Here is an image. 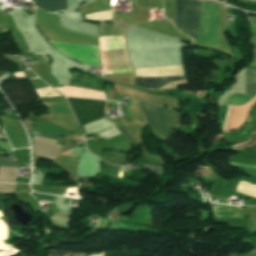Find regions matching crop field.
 <instances>
[{
  "label": "crop field",
  "instance_id": "8a807250",
  "mask_svg": "<svg viewBox=\"0 0 256 256\" xmlns=\"http://www.w3.org/2000/svg\"><path fill=\"white\" fill-rule=\"evenodd\" d=\"M201 1L176 0V28L197 40ZM218 4L202 1L198 40L219 46Z\"/></svg>",
  "mask_w": 256,
  "mask_h": 256
},
{
  "label": "crop field",
  "instance_id": "ac0d7876",
  "mask_svg": "<svg viewBox=\"0 0 256 256\" xmlns=\"http://www.w3.org/2000/svg\"><path fill=\"white\" fill-rule=\"evenodd\" d=\"M184 75L183 67L136 70L135 77ZM185 79L184 76L135 78L134 85L154 90L167 81Z\"/></svg>",
  "mask_w": 256,
  "mask_h": 256
},
{
  "label": "crop field",
  "instance_id": "34b2d1b8",
  "mask_svg": "<svg viewBox=\"0 0 256 256\" xmlns=\"http://www.w3.org/2000/svg\"><path fill=\"white\" fill-rule=\"evenodd\" d=\"M138 103L144 112L148 123L152 124L156 131L168 139L174 129L172 110L140 102Z\"/></svg>",
  "mask_w": 256,
  "mask_h": 256
},
{
  "label": "crop field",
  "instance_id": "412701ff",
  "mask_svg": "<svg viewBox=\"0 0 256 256\" xmlns=\"http://www.w3.org/2000/svg\"><path fill=\"white\" fill-rule=\"evenodd\" d=\"M80 125L103 118L105 101L67 99Z\"/></svg>",
  "mask_w": 256,
  "mask_h": 256
},
{
  "label": "crop field",
  "instance_id": "f4fd0767",
  "mask_svg": "<svg viewBox=\"0 0 256 256\" xmlns=\"http://www.w3.org/2000/svg\"><path fill=\"white\" fill-rule=\"evenodd\" d=\"M246 76V95H256V70L255 69H245ZM241 94H233L228 97L222 105H241L246 103L252 96H246ZM250 101V100H249Z\"/></svg>",
  "mask_w": 256,
  "mask_h": 256
},
{
  "label": "crop field",
  "instance_id": "dd49c442",
  "mask_svg": "<svg viewBox=\"0 0 256 256\" xmlns=\"http://www.w3.org/2000/svg\"><path fill=\"white\" fill-rule=\"evenodd\" d=\"M54 140L32 136L33 153L54 158L61 146Z\"/></svg>",
  "mask_w": 256,
  "mask_h": 256
},
{
  "label": "crop field",
  "instance_id": "e52e79f7",
  "mask_svg": "<svg viewBox=\"0 0 256 256\" xmlns=\"http://www.w3.org/2000/svg\"><path fill=\"white\" fill-rule=\"evenodd\" d=\"M39 7L47 11H58L67 9L66 0H33Z\"/></svg>",
  "mask_w": 256,
  "mask_h": 256
},
{
  "label": "crop field",
  "instance_id": "d8731c3e",
  "mask_svg": "<svg viewBox=\"0 0 256 256\" xmlns=\"http://www.w3.org/2000/svg\"><path fill=\"white\" fill-rule=\"evenodd\" d=\"M18 168L0 166V181L16 183Z\"/></svg>",
  "mask_w": 256,
  "mask_h": 256
},
{
  "label": "crop field",
  "instance_id": "5a996713",
  "mask_svg": "<svg viewBox=\"0 0 256 256\" xmlns=\"http://www.w3.org/2000/svg\"><path fill=\"white\" fill-rule=\"evenodd\" d=\"M225 108H226V106H220L219 117H218V123H219L221 126H223V122H224V118H225ZM229 108H230V106H227V108H226V119H225L223 131H224L225 128H226V124H227V120H228V116H229Z\"/></svg>",
  "mask_w": 256,
  "mask_h": 256
},
{
  "label": "crop field",
  "instance_id": "3316defc",
  "mask_svg": "<svg viewBox=\"0 0 256 256\" xmlns=\"http://www.w3.org/2000/svg\"><path fill=\"white\" fill-rule=\"evenodd\" d=\"M9 157H0V165L4 166H14V167H27L25 163H10Z\"/></svg>",
  "mask_w": 256,
  "mask_h": 256
},
{
  "label": "crop field",
  "instance_id": "28ad6ade",
  "mask_svg": "<svg viewBox=\"0 0 256 256\" xmlns=\"http://www.w3.org/2000/svg\"><path fill=\"white\" fill-rule=\"evenodd\" d=\"M29 133H30V135H36V136L51 138V139H55V140H57L59 138V135L34 131V130H30V129H29Z\"/></svg>",
  "mask_w": 256,
  "mask_h": 256
},
{
  "label": "crop field",
  "instance_id": "d1516ede",
  "mask_svg": "<svg viewBox=\"0 0 256 256\" xmlns=\"http://www.w3.org/2000/svg\"><path fill=\"white\" fill-rule=\"evenodd\" d=\"M50 219H52L53 221L57 222L58 224H63L64 222H66L67 220H69V218L63 216L62 214L56 212L54 215H52L51 217H49Z\"/></svg>",
  "mask_w": 256,
  "mask_h": 256
},
{
  "label": "crop field",
  "instance_id": "22f410ed",
  "mask_svg": "<svg viewBox=\"0 0 256 256\" xmlns=\"http://www.w3.org/2000/svg\"><path fill=\"white\" fill-rule=\"evenodd\" d=\"M15 188H16V185L0 184V192H3V193L14 192Z\"/></svg>",
  "mask_w": 256,
  "mask_h": 256
},
{
  "label": "crop field",
  "instance_id": "cbeb9de0",
  "mask_svg": "<svg viewBox=\"0 0 256 256\" xmlns=\"http://www.w3.org/2000/svg\"><path fill=\"white\" fill-rule=\"evenodd\" d=\"M124 137L134 146L138 145L135 140L129 135V133L124 129V127L118 128Z\"/></svg>",
  "mask_w": 256,
  "mask_h": 256
},
{
  "label": "crop field",
  "instance_id": "5142ce71",
  "mask_svg": "<svg viewBox=\"0 0 256 256\" xmlns=\"http://www.w3.org/2000/svg\"><path fill=\"white\" fill-rule=\"evenodd\" d=\"M32 196H34L35 198H40L42 200H48V201L53 200V196L40 195V194H34V193H32Z\"/></svg>",
  "mask_w": 256,
  "mask_h": 256
},
{
  "label": "crop field",
  "instance_id": "d9b57169",
  "mask_svg": "<svg viewBox=\"0 0 256 256\" xmlns=\"http://www.w3.org/2000/svg\"><path fill=\"white\" fill-rule=\"evenodd\" d=\"M240 256H256V250L254 249L252 252L245 255H240Z\"/></svg>",
  "mask_w": 256,
  "mask_h": 256
},
{
  "label": "crop field",
  "instance_id": "733c2abd",
  "mask_svg": "<svg viewBox=\"0 0 256 256\" xmlns=\"http://www.w3.org/2000/svg\"><path fill=\"white\" fill-rule=\"evenodd\" d=\"M1 198H2V194H0V206H1Z\"/></svg>",
  "mask_w": 256,
  "mask_h": 256
},
{
  "label": "crop field",
  "instance_id": "4a817a6b",
  "mask_svg": "<svg viewBox=\"0 0 256 256\" xmlns=\"http://www.w3.org/2000/svg\"><path fill=\"white\" fill-rule=\"evenodd\" d=\"M90 256H101L100 254H96V255H90Z\"/></svg>",
  "mask_w": 256,
  "mask_h": 256
},
{
  "label": "crop field",
  "instance_id": "bc2a9ffb",
  "mask_svg": "<svg viewBox=\"0 0 256 256\" xmlns=\"http://www.w3.org/2000/svg\"><path fill=\"white\" fill-rule=\"evenodd\" d=\"M127 109H128V114H129V116H130V111H129V107H127Z\"/></svg>",
  "mask_w": 256,
  "mask_h": 256
}]
</instances>
